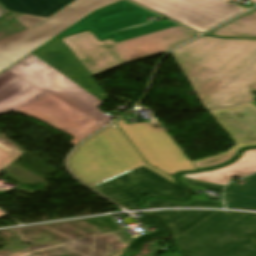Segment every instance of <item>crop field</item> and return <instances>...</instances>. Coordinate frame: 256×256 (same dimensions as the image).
Wrapping results in <instances>:
<instances>
[{
  "label": "crop field",
  "instance_id": "bc2a9ffb",
  "mask_svg": "<svg viewBox=\"0 0 256 256\" xmlns=\"http://www.w3.org/2000/svg\"><path fill=\"white\" fill-rule=\"evenodd\" d=\"M138 220L142 224H153L156 227L160 228L161 230H159L155 233H152L150 235H144L139 238L133 239L135 242L133 241L134 243H132L127 250L137 252L138 249L143 245V243L146 240H148L152 237L168 236V233L164 230L163 226L159 223V221L156 218H154L152 216H144V217L138 218Z\"/></svg>",
  "mask_w": 256,
  "mask_h": 256
},
{
  "label": "crop field",
  "instance_id": "4a817a6b",
  "mask_svg": "<svg viewBox=\"0 0 256 256\" xmlns=\"http://www.w3.org/2000/svg\"><path fill=\"white\" fill-rule=\"evenodd\" d=\"M160 206H214V207H223L222 202L210 201V200L191 199L190 202L181 203V202H176V201L150 198L145 203H143L140 206V208L160 207Z\"/></svg>",
  "mask_w": 256,
  "mask_h": 256
},
{
  "label": "crop field",
  "instance_id": "d1516ede",
  "mask_svg": "<svg viewBox=\"0 0 256 256\" xmlns=\"http://www.w3.org/2000/svg\"><path fill=\"white\" fill-rule=\"evenodd\" d=\"M131 242L121 230L11 256H120Z\"/></svg>",
  "mask_w": 256,
  "mask_h": 256
},
{
  "label": "crop field",
  "instance_id": "5a996713",
  "mask_svg": "<svg viewBox=\"0 0 256 256\" xmlns=\"http://www.w3.org/2000/svg\"><path fill=\"white\" fill-rule=\"evenodd\" d=\"M92 188L127 209H133L148 194L184 198L187 192L182 186L143 166Z\"/></svg>",
  "mask_w": 256,
  "mask_h": 256
},
{
  "label": "crop field",
  "instance_id": "d8731c3e",
  "mask_svg": "<svg viewBox=\"0 0 256 256\" xmlns=\"http://www.w3.org/2000/svg\"><path fill=\"white\" fill-rule=\"evenodd\" d=\"M115 123L147 164L171 176L178 171L195 170L163 125L158 129L147 122L127 125L123 117Z\"/></svg>",
  "mask_w": 256,
  "mask_h": 256
},
{
  "label": "crop field",
  "instance_id": "5142ce71",
  "mask_svg": "<svg viewBox=\"0 0 256 256\" xmlns=\"http://www.w3.org/2000/svg\"><path fill=\"white\" fill-rule=\"evenodd\" d=\"M214 211H160V215L171 229L175 239L188 231Z\"/></svg>",
  "mask_w": 256,
  "mask_h": 256
},
{
  "label": "crop field",
  "instance_id": "22f410ed",
  "mask_svg": "<svg viewBox=\"0 0 256 256\" xmlns=\"http://www.w3.org/2000/svg\"><path fill=\"white\" fill-rule=\"evenodd\" d=\"M256 172V149L246 150L233 163L212 170L194 174L182 175V177L203 180L226 185L233 176L242 178Z\"/></svg>",
  "mask_w": 256,
  "mask_h": 256
},
{
  "label": "crop field",
  "instance_id": "dafd665d",
  "mask_svg": "<svg viewBox=\"0 0 256 256\" xmlns=\"http://www.w3.org/2000/svg\"><path fill=\"white\" fill-rule=\"evenodd\" d=\"M0 143L4 144L5 146H9L12 148H15L17 150H20L19 148L15 147L14 145H12L11 143L7 142L6 140H4L3 138L0 137ZM22 151V150H21Z\"/></svg>",
  "mask_w": 256,
  "mask_h": 256
},
{
  "label": "crop field",
  "instance_id": "e52e79f7",
  "mask_svg": "<svg viewBox=\"0 0 256 256\" xmlns=\"http://www.w3.org/2000/svg\"><path fill=\"white\" fill-rule=\"evenodd\" d=\"M159 17L126 0L99 9L64 31L60 38L90 29L99 41L113 38L116 42L177 25L171 21L151 22Z\"/></svg>",
  "mask_w": 256,
  "mask_h": 256
},
{
  "label": "crop field",
  "instance_id": "dd49c442",
  "mask_svg": "<svg viewBox=\"0 0 256 256\" xmlns=\"http://www.w3.org/2000/svg\"><path fill=\"white\" fill-rule=\"evenodd\" d=\"M120 0H77L50 19L23 16L27 29L0 40V73L96 9Z\"/></svg>",
  "mask_w": 256,
  "mask_h": 256
},
{
  "label": "crop field",
  "instance_id": "eef30255",
  "mask_svg": "<svg viewBox=\"0 0 256 256\" xmlns=\"http://www.w3.org/2000/svg\"><path fill=\"white\" fill-rule=\"evenodd\" d=\"M5 216L3 212L0 211V217Z\"/></svg>",
  "mask_w": 256,
  "mask_h": 256
},
{
  "label": "crop field",
  "instance_id": "4177f3b9",
  "mask_svg": "<svg viewBox=\"0 0 256 256\" xmlns=\"http://www.w3.org/2000/svg\"><path fill=\"white\" fill-rule=\"evenodd\" d=\"M4 14V9L0 6V16Z\"/></svg>",
  "mask_w": 256,
  "mask_h": 256
},
{
  "label": "crop field",
  "instance_id": "3316defc",
  "mask_svg": "<svg viewBox=\"0 0 256 256\" xmlns=\"http://www.w3.org/2000/svg\"><path fill=\"white\" fill-rule=\"evenodd\" d=\"M200 33L246 11L218 0H132Z\"/></svg>",
  "mask_w": 256,
  "mask_h": 256
},
{
  "label": "crop field",
  "instance_id": "cbeb9de0",
  "mask_svg": "<svg viewBox=\"0 0 256 256\" xmlns=\"http://www.w3.org/2000/svg\"><path fill=\"white\" fill-rule=\"evenodd\" d=\"M244 180L242 185L230 183L225 189L227 207L256 209V174Z\"/></svg>",
  "mask_w": 256,
  "mask_h": 256
},
{
  "label": "crop field",
  "instance_id": "412701ff",
  "mask_svg": "<svg viewBox=\"0 0 256 256\" xmlns=\"http://www.w3.org/2000/svg\"><path fill=\"white\" fill-rule=\"evenodd\" d=\"M68 164L72 172L90 187L141 165L175 182L147 165L115 123L77 147Z\"/></svg>",
  "mask_w": 256,
  "mask_h": 256
},
{
  "label": "crop field",
  "instance_id": "214f88e0",
  "mask_svg": "<svg viewBox=\"0 0 256 256\" xmlns=\"http://www.w3.org/2000/svg\"><path fill=\"white\" fill-rule=\"evenodd\" d=\"M23 152L8 148L0 144V170L5 169L17 158H19Z\"/></svg>",
  "mask_w": 256,
  "mask_h": 256
},
{
  "label": "crop field",
  "instance_id": "8a807250",
  "mask_svg": "<svg viewBox=\"0 0 256 256\" xmlns=\"http://www.w3.org/2000/svg\"><path fill=\"white\" fill-rule=\"evenodd\" d=\"M107 95L57 37L0 74V114L39 119L76 145L117 117L98 108Z\"/></svg>",
  "mask_w": 256,
  "mask_h": 256
},
{
  "label": "crop field",
  "instance_id": "f4fd0767",
  "mask_svg": "<svg viewBox=\"0 0 256 256\" xmlns=\"http://www.w3.org/2000/svg\"><path fill=\"white\" fill-rule=\"evenodd\" d=\"M256 215L216 211L176 239L191 256H256Z\"/></svg>",
  "mask_w": 256,
  "mask_h": 256
},
{
  "label": "crop field",
  "instance_id": "d9b57169",
  "mask_svg": "<svg viewBox=\"0 0 256 256\" xmlns=\"http://www.w3.org/2000/svg\"><path fill=\"white\" fill-rule=\"evenodd\" d=\"M207 35L256 38V9L207 33Z\"/></svg>",
  "mask_w": 256,
  "mask_h": 256
},
{
  "label": "crop field",
  "instance_id": "92a150f3",
  "mask_svg": "<svg viewBox=\"0 0 256 256\" xmlns=\"http://www.w3.org/2000/svg\"><path fill=\"white\" fill-rule=\"evenodd\" d=\"M179 179L181 180L182 183H185V184L199 186V187L213 189V190L222 191V189L225 187L223 185L202 182V181H197V180H192V179H187V178H182V177H179Z\"/></svg>",
  "mask_w": 256,
  "mask_h": 256
},
{
  "label": "crop field",
  "instance_id": "733c2abd",
  "mask_svg": "<svg viewBox=\"0 0 256 256\" xmlns=\"http://www.w3.org/2000/svg\"><path fill=\"white\" fill-rule=\"evenodd\" d=\"M71 0H0L9 10L49 16Z\"/></svg>",
  "mask_w": 256,
  "mask_h": 256
},
{
  "label": "crop field",
  "instance_id": "730fd06b",
  "mask_svg": "<svg viewBox=\"0 0 256 256\" xmlns=\"http://www.w3.org/2000/svg\"><path fill=\"white\" fill-rule=\"evenodd\" d=\"M224 1L229 2V1H231V0H224ZM251 2H252V4L256 5V0H251Z\"/></svg>",
  "mask_w": 256,
  "mask_h": 256
},
{
  "label": "crop field",
  "instance_id": "ae1a2a85",
  "mask_svg": "<svg viewBox=\"0 0 256 256\" xmlns=\"http://www.w3.org/2000/svg\"><path fill=\"white\" fill-rule=\"evenodd\" d=\"M65 256H67V255H65Z\"/></svg>",
  "mask_w": 256,
  "mask_h": 256
},
{
  "label": "crop field",
  "instance_id": "a9b5d70f",
  "mask_svg": "<svg viewBox=\"0 0 256 256\" xmlns=\"http://www.w3.org/2000/svg\"><path fill=\"white\" fill-rule=\"evenodd\" d=\"M160 256H182L176 253H171V254H164V255H160Z\"/></svg>",
  "mask_w": 256,
  "mask_h": 256
},
{
  "label": "crop field",
  "instance_id": "00972430",
  "mask_svg": "<svg viewBox=\"0 0 256 256\" xmlns=\"http://www.w3.org/2000/svg\"><path fill=\"white\" fill-rule=\"evenodd\" d=\"M124 222H125L126 225L129 224V223H131V222L137 224V222H136L132 217H131V218H128V219H126V220H124Z\"/></svg>",
  "mask_w": 256,
  "mask_h": 256
},
{
  "label": "crop field",
  "instance_id": "28ad6ade",
  "mask_svg": "<svg viewBox=\"0 0 256 256\" xmlns=\"http://www.w3.org/2000/svg\"><path fill=\"white\" fill-rule=\"evenodd\" d=\"M208 111L232 137L236 145L223 154L192 161L196 169L224 163L241 148L256 145V105L249 103L233 109Z\"/></svg>",
  "mask_w": 256,
  "mask_h": 256
},
{
  "label": "crop field",
  "instance_id": "34b2d1b8",
  "mask_svg": "<svg viewBox=\"0 0 256 256\" xmlns=\"http://www.w3.org/2000/svg\"><path fill=\"white\" fill-rule=\"evenodd\" d=\"M196 35L177 25L118 43L113 39L99 42L90 30L61 40L92 76L128 61L167 52Z\"/></svg>",
  "mask_w": 256,
  "mask_h": 256
},
{
  "label": "crop field",
  "instance_id": "ac0d7876",
  "mask_svg": "<svg viewBox=\"0 0 256 256\" xmlns=\"http://www.w3.org/2000/svg\"><path fill=\"white\" fill-rule=\"evenodd\" d=\"M172 54L205 108L256 99V40L203 35Z\"/></svg>",
  "mask_w": 256,
  "mask_h": 256
}]
</instances>
